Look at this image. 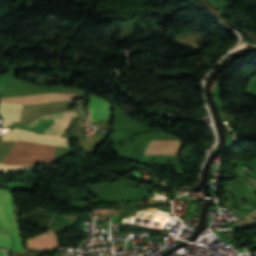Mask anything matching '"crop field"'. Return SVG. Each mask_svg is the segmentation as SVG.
<instances>
[{
  "mask_svg": "<svg viewBox=\"0 0 256 256\" xmlns=\"http://www.w3.org/2000/svg\"><path fill=\"white\" fill-rule=\"evenodd\" d=\"M0 256H5V254L0 250Z\"/></svg>",
  "mask_w": 256,
  "mask_h": 256,
  "instance_id": "obj_17",
  "label": "crop field"
},
{
  "mask_svg": "<svg viewBox=\"0 0 256 256\" xmlns=\"http://www.w3.org/2000/svg\"><path fill=\"white\" fill-rule=\"evenodd\" d=\"M180 146L179 140L160 133L154 137L144 150V155L149 154H176Z\"/></svg>",
  "mask_w": 256,
  "mask_h": 256,
  "instance_id": "obj_6",
  "label": "crop field"
},
{
  "mask_svg": "<svg viewBox=\"0 0 256 256\" xmlns=\"http://www.w3.org/2000/svg\"><path fill=\"white\" fill-rule=\"evenodd\" d=\"M30 249H43L56 247L55 237L30 238L28 239Z\"/></svg>",
  "mask_w": 256,
  "mask_h": 256,
  "instance_id": "obj_10",
  "label": "crop field"
},
{
  "mask_svg": "<svg viewBox=\"0 0 256 256\" xmlns=\"http://www.w3.org/2000/svg\"><path fill=\"white\" fill-rule=\"evenodd\" d=\"M11 244H12L11 241L0 239V246H3L5 248H7V249H10Z\"/></svg>",
  "mask_w": 256,
  "mask_h": 256,
  "instance_id": "obj_14",
  "label": "crop field"
},
{
  "mask_svg": "<svg viewBox=\"0 0 256 256\" xmlns=\"http://www.w3.org/2000/svg\"><path fill=\"white\" fill-rule=\"evenodd\" d=\"M27 169H32V167L31 166L0 165V172L27 170Z\"/></svg>",
  "mask_w": 256,
  "mask_h": 256,
  "instance_id": "obj_13",
  "label": "crop field"
},
{
  "mask_svg": "<svg viewBox=\"0 0 256 256\" xmlns=\"http://www.w3.org/2000/svg\"><path fill=\"white\" fill-rule=\"evenodd\" d=\"M17 202L24 213L36 207L55 209L56 197L35 195L27 192H14Z\"/></svg>",
  "mask_w": 256,
  "mask_h": 256,
  "instance_id": "obj_5",
  "label": "crop field"
},
{
  "mask_svg": "<svg viewBox=\"0 0 256 256\" xmlns=\"http://www.w3.org/2000/svg\"><path fill=\"white\" fill-rule=\"evenodd\" d=\"M2 140H22V141H34L52 145L68 146L67 139L59 137L45 136L36 133L29 132L27 130L12 129L8 133L0 136Z\"/></svg>",
  "mask_w": 256,
  "mask_h": 256,
  "instance_id": "obj_4",
  "label": "crop field"
},
{
  "mask_svg": "<svg viewBox=\"0 0 256 256\" xmlns=\"http://www.w3.org/2000/svg\"><path fill=\"white\" fill-rule=\"evenodd\" d=\"M10 256H34V253L33 251L29 253L18 252V253H10Z\"/></svg>",
  "mask_w": 256,
  "mask_h": 256,
  "instance_id": "obj_15",
  "label": "crop field"
},
{
  "mask_svg": "<svg viewBox=\"0 0 256 256\" xmlns=\"http://www.w3.org/2000/svg\"><path fill=\"white\" fill-rule=\"evenodd\" d=\"M80 91L81 90H78L75 88H63L60 86L53 87V88L31 86L17 80L15 84L6 93H4L3 97L47 93V92L80 93ZM77 116H79V114L76 112V110L45 115L34 120L32 123L29 124V126L36 125L40 120L54 118L55 122L51 126H49L42 134L60 136L65 131L67 126L70 124L72 117H77Z\"/></svg>",
  "mask_w": 256,
  "mask_h": 256,
  "instance_id": "obj_2",
  "label": "crop field"
},
{
  "mask_svg": "<svg viewBox=\"0 0 256 256\" xmlns=\"http://www.w3.org/2000/svg\"><path fill=\"white\" fill-rule=\"evenodd\" d=\"M0 228L8 231L14 239L11 251L24 250L10 196V190L5 189H0Z\"/></svg>",
  "mask_w": 256,
  "mask_h": 256,
  "instance_id": "obj_3",
  "label": "crop field"
},
{
  "mask_svg": "<svg viewBox=\"0 0 256 256\" xmlns=\"http://www.w3.org/2000/svg\"><path fill=\"white\" fill-rule=\"evenodd\" d=\"M14 78L2 76L0 77V95L4 90L12 85Z\"/></svg>",
  "mask_w": 256,
  "mask_h": 256,
  "instance_id": "obj_12",
  "label": "crop field"
},
{
  "mask_svg": "<svg viewBox=\"0 0 256 256\" xmlns=\"http://www.w3.org/2000/svg\"><path fill=\"white\" fill-rule=\"evenodd\" d=\"M242 173V177H240L241 179H243L251 188H253L254 190L256 189V176L251 173L248 169H246L244 166L241 170Z\"/></svg>",
  "mask_w": 256,
  "mask_h": 256,
  "instance_id": "obj_11",
  "label": "crop field"
},
{
  "mask_svg": "<svg viewBox=\"0 0 256 256\" xmlns=\"http://www.w3.org/2000/svg\"><path fill=\"white\" fill-rule=\"evenodd\" d=\"M0 238H4V239H7V240H11V237L9 234H6L5 232H3L2 230H0Z\"/></svg>",
  "mask_w": 256,
  "mask_h": 256,
  "instance_id": "obj_16",
  "label": "crop field"
},
{
  "mask_svg": "<svg viewBox=\"0 0 256 256\" xmlns=\"http://www.w3.org/2000/svg\"><path fill=\"white\" fill-rule=\"evenodd\" d=\"M21 107L20 104L0 103V115L4 118L1 126H8L11 121H19Z\"/></svg>",
  "mask_w": 256,
  "mask_h": 256,
  "instance_id": "obj_7",
  "label": "crop field"
},
{
  "mask_svg": "<svg viewBox=\"0 0 256 256\" xmlns=\"http://www.w3.org/2000/svg\"><path fill=\"white\" fill-rule=\"evenodd\" d=\"M14 141L0 140V163ZM56 147L15 141L2 164L34 165L40 161H54Z\"/></svg>",
  "mask_w": 256,
  "mask_h": 256,
  "instance_id": "obj_1",
  "label": "crop field"
},
{
  "mask_svg": "<svg viewBox=\"0 0 256 256\" xmlns=\"http://www.w3.org/2000/svg\"><path fill=\"white\" fill-rule=\"evenodd\" d=\"M91 120L101 121L108 116L109 104L102 99L94 97V119H93V97H89Z\"/></svg>",
  "mask_w": 256,
  "mask_h": 256,
  "instance_id": "obj_8",
  "label": "crop field"
},
{
  "mask_svg": "<svg viewBox=\"0 0 256 256\" xmlns=\"http://www.w3.org/2000/svg\"><path fill=\"white\" fill-rule=\"evenodd\" d=\"M155 135H157V133H152V134H148V135L139 137L132 148L130 157L134 158V159L142 160V152H143L145 146L150 141V139Z\"/></svg>",
  "mask_w": 256,
  "mask_h": 256,
  "instance_id": "obj_9",
  "label": "crop field"
}]
</instances>
